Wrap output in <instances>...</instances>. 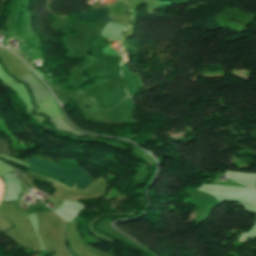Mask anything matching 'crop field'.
Here are the masks:
<instances>
[{"instance_id": "1", "label": "crop field", "mask_w": 256, "mask_h": 256, "mask_svg": "<svg viewBox=\"0 0 256 256\" xmlns=\"http://www.w3.org/2000/svg\"><path fill=\"white\" fill-rule=\"evenodd\" d=\"M26 163L54 175H57L63 178V180H65L66 182L76 184L75 188H85L93 180L87 175L83 168H66L41 160L36 157L32 158Z\"/></svg>"}, {"instance_id": "2", "label": "crop field", "mask_w": 256, "mask_h": 256, "mask_svg": "<svg viewBox=\"0 0 256 256\" xmlns=\"http://www.w3.org/2000/svg\"><path fill=\"white\" fill-rule=\"evenodd\" d=\"M89 15L73 14L77 19L88 20V21H112L111 15L108 8L97 9L93 11H85Z\"/></svg>"}, {"instance_id": "3", "label": "crop field", "mask_w": 256, "mask_h": 256, "mask_svg": "<svg viewBox=\"0 0 256 256\" xmlns=\"http://www.w3.org/2000/svg\"><path fill=\"white\" fill-rule=\"evenodd\" d=\"M0 153H3L7 156L11 155V153L7 147V143L5 141H3L2 139H0Z\"/></svg>"}, {"instance_id": "4", "label": "crop field", "mask_w": 256, "mask_h": 256, "mask_svg": "<svg viewBox=\"0 0 256 256\" xmlns=\"http://www.w3.org/2000/svg\"><path fill=\"white\" fill-rule=\"evenodd\" d=\"M127 60H128V59H127V55H125V54H124V56H123L124 64H126V63H127Z\"/></svg>"}, {"instance_id": "5", "label": "crop field", "mask_w": 256, "mask_h": 256, "mask_svg": "<svg viewBox=\"0 0 256 256\" xmlns=\"http://www.w3.org/2000/svg\"><path fill=\"white\" fill-rule=\"evenodd\" d=\"M160 1H179V0H160Z\"/></svg>"}, {"instance_id": "6", "label": "crop field", "mask_w": 256, "mask_h": 256, "mask_svg": "<svg viewBox=\"0 0 256 256\" xmlns=\"http://www.w3.org/2000/svg\"><path fill=\"white\" fill-rule=\"evenodd\" d=\"M256 188V187H255Z\"/></svg>"}]
</instances>
